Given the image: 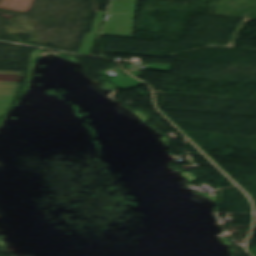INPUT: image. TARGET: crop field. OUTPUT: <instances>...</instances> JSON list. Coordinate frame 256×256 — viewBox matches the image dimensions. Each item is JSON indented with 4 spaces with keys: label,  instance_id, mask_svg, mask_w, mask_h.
I'll list each match as a JSON object with an SVG mask.
<instances>
[{
    "label": "crop field",
    "instance_id": "34b2d1b8",
    "mask_svg": "<svg viewBox=\"0 0 256 256\" xmlns=\"http://www.w3.org/2000/svg\"><path fill=\"white\" fill-rule=\"evenodd\" d=\"M137 0H112L109 12L134 14Z\"/></svg>",
    "mask_w": 256,
    "mask_h": 256
},
{
    "label": "crop field",
    "instance_id": "d8731c3e",
    "mask_svg": "<svg viewBox=\"0 0 256 256\" xmlns=\"http://www.w3.org/2000/svg\"><path fill=\"white\" fill-rule=\"evenodd\" d=\"M11 104H0V116H4Z\"/></svg>",
    "mask_w": 256,
    "mask_h": 256
},
{
    "label": "crop field",
    "instance_id": "f4fd0767",
    "mask_svg": "<svg viewBox=\"0 0 256 256\" xmlns=\"http://www.w3.org/2000/svg\"><path fill=\"white\" fill-rule=\"evenodd\" d=\"M110 81H112L114 84H116L118 87H120L123 90L132 88L134 86L143 84L142 82L132 78V77H125L123 75L114 77L112 79H110Z\"/></svg>",
    "mask_w": 256,
    "mask_h": 256
},
{
    "label": "crop field",
    "instance_id": "412701ff",
    "mask_svg": "<svg viewBox=\"0 0 256 256\" xmlns=\"http://www.w3.org/2000/svg\"><path fill=\"white\" fill-rule=\"evenodd\" d=\"M23 72L0 71V84L19 85Z\"/></svg>",
    "mask_w": 256,
    "mask_h": 256
},
{
    "label": "crop field",
    "instance_id": "ac0d7876",
    "mask_svg": "<svg viewBox=\"0 0 256 256\" xmlns=\"http://www.w3.org/2000/svg\"><path fill=\"white\" fill-rule=\"evenodd\" d=\"M104 15H105V12H97L96 13L91 32H90V34L84 35L83 42H82L79 53L85 54V55H88L90 53V51L94 45V42L98 36Z\"/></svg>",
    "mask_w": 256,
    "mask_h": 256
},
{
    "label": "crop field",
    "instance_id": "8a807250",
    "mask_svg": "<svg viewBox=\"0 0 256 256\" xmlns=\"http://www.w3.org/2000/svg\"><path fill=\"white\" fill-rule=\"evenodd\" d=\"M135 15L109 13L101 34L130 37Z\"/></svg>",
    "mask_w": 256,
    "mask_h": 256
},
{
    "label": "crop field",
    "instance_id": "e52e79f7",
    "mask_svg": "<svg viewBox=\"0 0 256 256\" xmlns=\"http://www.w3.org/2000/svg\"><path fill=\"white\" fill-rule=\"evenodd\" d=\"M171 65L152 63L149 65L150 69L168 72Z\"/></svg>",
    "mask_w": 256,
    "mask_h": 256
},
{
    "label": "crop field",
    "instance_id": "dd49c442",
    "mask_svg": "<svg viewBox=\"0 0 256 256\" xmlns=\"http://www.w3.org/2000/svg\"><path fill=\"white\" fill-rule=\"evenodd\" d=\"M19 86L0 85V103H12Z\"/></svg>",
    "mask_w": 256,
    "mask_h": 256
}]
</instances>
